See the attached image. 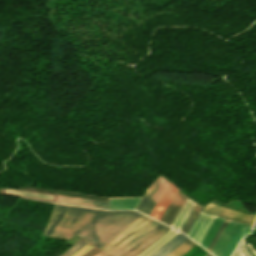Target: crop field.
Instances as JSON below:
<instances>
[{
    "instance_id": "crop-field-18",
    "label": "crop field",
    "mask_w": 256,
    "mask_h": 256,
    "mask_svg": "<svg viewBox=\"0 0 256 256\" xmlns=\"http://www.w3.org/2000/svg\"><path fill=\"white\" fill-rule=\"evenodd\" d=\"M158 222L152 221L146 227H144L141 231H139L135 236H133L130 240H128L124 245H122L119 249H117L110 256H118L121 252H123L126 248H128L131 244H133L136 240H138L141 236H143L146 232H148L151 228H153Z\"/></svg>"
},
{
    "instance_id": "crop-field-9",
    "label": "crop field",
    "mask_w": 256,
    "mask_h": 256,
    "mask_svg": "<svg viewBox=\"0 0 256 256\" xmlns=\"http://www.w3.org/2000/svg\"><path fill=\"white\" fill-rule=\"evenodd\" d=\"M185 196H183L178 190L174 197L172 198L171 202L169 203L168 207L166 208L165 212L161 216V222L170 226L171 222L173 221L175 215L177 214L178 210L180 209L182 203L185 200Z\"/></svg>"
},
{
    "instance_id": "crop-field-5",
    "label": "crop field",
    "mask_w": 256,
    "mask_h": 256,
    "mask_svg": "<svg viewBox=\"0 0 256 256\" xmlns=\"http://www.w3.org/2000/svg\"><path fill=\"white\" fill-rule=\"evenodd\" d=\"M167 229H169V227L159 223L148 233H146L143 237H141L138 241H136L133 245H131L128 249H126L123 253H121L119 256H136L145 247L152 243L156 238L163 234Z\"/></svg>"
},
{
    "instance_id": "crop-field-7",
    "label": "crop field",
    "mask_w": 256,
    "mask_h": 256,
    "mask_svg": "<svg viewBox=\"0 0 256 256\" xmlns=\"http://www.w3.org/2000/svg\"><path fill=\"white\" fill-rule=\"evenodd\" d=\"M202 211L208 212V213H211V214H215V215H218V216H222V217H225V218H229V219H232V220H236V221H239V222H243V223H246V224H250V225L252 224L253 219L255 217L253 215L228 210V209H225L223 207H220V206H217V205H214V204H211V203H209L206 207H204Z\"/></svg>"
},
{
    "instance_id": "crop-field-1",
    "label": "crop field",
    "mask_w": 256,
    "mask_h": 256,
    "mask_svg": "<svg viewBox=\"0 0 256 256\" xmlns=\"http://www.w3.org/2000/svg\"><path fill=\"white\" fill-rule=\"evenodd\" d=\"M139 216L135 211H104L76 234L100 248Z\"/></svg>"
},
{
    "instance_id": "crop-field-23",
    "label": "crop field",
    "mask_w": 256,
    "mask_h": 256,
    "mask_svg": "<svg viewBox=\"0 0 256 256\" xmlns=\"http://www.w3.org/2000/svg\"><path fill=\"white\" fill-rule=\"evenodd\" d=\"M204 254H206V252L203 249H201L198 245H196L183 256H203Z\"/></svg>"
},
{
    "instance_id": "crop-field-28",
    "label": "crop field",
    "mask_w": 256,
    "mask_h": 256,
    "mask_svg": "<svg viewBox=\"0 0 256 256\" xmlns=\"http://www.w3.org/2000/svg\"><path fill=\"white\" fill-rule=\"evenodd\" d=\"M205 256H211V255H209V254L207 253Z\"/></svg>"
},
{
    "instance_id": "crop-field-14",
    "label": "crop field",
    "mask_w": 256,
    "mask_h": 256,
    "mask_svg": "<svg viewBox=\"0 0 256 256\" xmlns=\"http://www.w3.org/2000/svg\"><path fill=\"white\" fill-rule=\"evenodd\" d=\"M195 204L196 203H194L186 198L181 209L179 210L178 214L176 215L174 221L172 222L171 227L180 230V228L182 227L183 223L187 219L188 215L192 211Z\"/></svg>"
},
{
    "instance_id": "crop-field-4",
    "label": "crop field",
    "mask_w": 256,
    "mask_h": 256,
    "mask_svg": "<svg viewBox=\"0 0 256 256\" xmlns=\"http://www.w3.org/2000/svg\"><path fill=\"white\" fill-rule=\"evenodd\" d=\"M163 178V177H162ZM159 177L146 191L141 202L137 207V211L149 216L154 205L162 194L167 183L164 179Z\"/></svg>"
},
{
    "instance_id": "crop-field-13",
    "label": "crop field",
    "mask_w": 256,
    "mask_h": 256,
    "mask_svg": "<svg viewBox=\"0 0 256 256\" xmlns=\"http://www.w3.org/2000/svg\"><path fill=\"white\" fill-rule=\"evenodd\" d=\"M140 197L109 198V210L135 209Z\"/></svg>"
},
{
    "instance_id": "crop-field-26",
    "label": "crop field",
    "mask_w": 256,
    "mask_h": 256,
    "mask_svg": "<svg viewBox=\"0 0 256 256\" xmlns=\"http://www.w3.org/2000/svg\"><path fill=\"white\" fill-rule=\"evenodd\" d=\"M91 248H93V246L88 244L87 246H85L84 248H82L81 250H79L78 252H76L75 254H73L71 256H80L83 253H85L86 251L90 250Z\"/></svg>"
},
{
    "instance_id": "crop-field-16",
    "label": "crop field",
    "mask_w": 256,
    "mask_h": 256,
    "mask_svg": "<svg viewBox=\"0 0 256 256\" xmlns=\"http://www.w3.org/2000/svg\"><path fill=\"white\" fill-rule=\"evenodd\" d=\"M187 239H188L187 237L179 233L167 244H165L162 248H160L156 253H154L152 256H167L170 252H172L175 248H177L180 244H182Z\"/></svg>"
},
{
    "instance_id": "crop-field-25",
    "label": "crop field",
    "mask_w": 256,
    "mask_h": 256,
    "mask_svg": "<svg viewBox=\"0 0 256 256\" xmlns=\"http://www.w3.org/2000/svg\"><path fill=\"white\" fill-rule=\"evenodd\" d=\"M233 256H249L244 248L243 239L239 246L237 247L236 251L234 252Z\"/></svg>"
},
{
    "instance_id": "crop-field-2",
    "label": "crop field",
    "mask_w": 256,
    "mask_h": 256,
    "mask_svg": "<svg viewBox=\"0 0 256 256\" xmlns=\"http://www.w3.org/2000/svg\"><path fill=\"white\" fill-rule=\"evenodd\" d=\"M101 212L103 211L55 204L42 235L68 240Z\"/></svg>"
},
{
    "instance_id": "crop-field-24",
    "label": "crop field",
    "mask_w": 256,
    "mask_h": 256,
    "mask_svg": "<svg viewBox=\"0 0 256 256\" xmlns=\"http://www.w3.org/2000/svg\"><path fill=\"white\" fill-rule=\"evenodd\" d=\"M228 220L225 219V221L223 222V224L221 225L220 229L218 230V232L216 233V235L214 236V238L212 239L211 243L209 244V246L207 247L206 250H208L210 252L211 248L213 247L214 243L216 242L217 238L219 237V235L221 234L222 230L224 229L225 225L227 224Z\"/></svg>"
},
{
    "instance_id": "crop-field-8",
    "label": "crop field",
    "mask_w": 256,
    "mask_h": 256,
    "mask_svg": "<svg viewBox=\"0 0 256 256\" xmlns=\"http://www.w3.org/2000/svg\"><path fill=\"white\" fill-rule=\"evenodd\" d=\"M238 225L239 222L229 220L228 224L226 225L210 253L215 256H220Z\"/></svg>"
},
{
    "instance_id": "crop-field-19",
    "label": "crop field",
    "mask_w": 256,
    "mask_h": 256,
    "mask_svg": "<svg viewBox=\"0 0 256 256\" xmlns=\"http://www.w3.org/2000/svg\"><path fill=\"white\" fill-rule=\"evenodd\" d=\"M201 209H202V207L196 204V206L194 207L193 211L189 215L188 219L186 220V222L184 223V225H183V227L181 228L180 231H182L183 233L186 234V232L188 231V229L192 225L193 221L195 220V218L197 217V215L199 214Z\"/></svg>"
},
{
    "instance_id": "crop-field-12",
    "label": "crop field",
    "mask_w": 256,
    "mask_h": 256,
    "mask_svg": "<svg viewBox=\"0 0 256 256\" xmlns=\"http://www.w3.org/2000/svg\"><path fill=\"white\" fill-rule=\"evenodd\" d=\"M176 234H178V232L170 228L167 232H165L162 236H160L137 256H151L160 247H162L165 243L172 239Z\"/></svg>"
},
{
    "instance_id": "crop-field-15",
    "label": "crop field",
    "mask_w": 256,
    "mask_h": 256,
    "mask_svg": "<svg viewBox=\"0 0 256 256\" xmlns=\"http://www.w3.org/2000/svg\"><path fill=\"white\" fill-rule=\"evenodd\" d=\"M250 228L251 226L240 223L239 227L237 228L236 232L232 236L231 240L229 241L228 245L226 246L221 256H230L236 244L238 243L239 239L244 235L248 234Z\"/></svg>"
},
{
    "instance_id": "crop-field-6",
    "label": "crop field",
    "mask_w": 256,
    "mask_h": 256,
    "mask_svg": "<svg viewBox=\"0 0 256 256\" xmlns=\"http://www.w3.org/2000/svg\"><path fill=\"white\" fill-rule=\"evenodd\" d=\"M214 218L215 215L200 212L186 235L199 244Z\"/></svg>"
},
{
    "instance_id": "crop-field-17",
    "label": "crop field",
    "mask_w": 256,
    "mask_h": 256,
    "mask_svg": "<svg viewBox=\"0 0 256 256\" xmlns=\"http://www.w3.org/2000/svg\"><path fill=\"white\" fill-rule=\"evenodd\" d=\"M223 221L224 218L216 216L215 220L211 224L210 228L206 232L205 236L203 237L199 245L206 249V247L210 243L211 239L213 238V236L215 235Z\"/></svg>"
},
{
    "instance_id": "crop-field-20",
    "label": "crop field",
    "mask_w": 256,
    "mask_h": 256,
    "mask_svg": "<svg viewBox=\"0 0 256 256\" xmlns=\"http://www.w3.org/2000/svg\"><path fill=\"white\" fill-rule=\"evenodd\" d=\"M195 245L196 244H194L192 241L188 239L182 245H180L177 249H175L172 253H170L168 256H182Z\"/></svg>"
},
{
    "instance_id": "crop-field-29",
    "label": "crop field",
    "mask_w": 256,
    "mask_h": 256,
    "mask_svg": "<svg viewBox=\"0 0 256 256\" xmlns=\"http://www.w3.org/2000/svg\"><path fill=\"white\" fill-rule=\"evenodd\" d=\"M107 256V255H106Z\"/></svg>"
},
{
    "instance_id": "crop-field-10",
    "label": "crop field",
    "mask_w": 256,
    "mask_h": 256,
    "mask_svg": "<svg viewBox=\"0 0 256 256\" xmlns=\"http://www.w3.org/2000/svg\"><path fill=\"white\" fill-rule=\"evenodd\" d=\"M176 190L177 189H175L172 185H170L168 183V185L165 188L163 194L161 195V197L158 200L157 204L155 205L153 211L151 212L150 217L159 220L160 216L164 212L165 208L167 207L171 198L175 194Z\"/></svg>"
},
{
    "instance_id": "crop-field-3",
    "label": "crop field",
    "mask_w": 256,
    "mask_h": 256,
    "mask_svg": "<svg viewBox=\"0 0 256 256\" xmlns=\"http://www.w3.org/2000/svg\"><path fill=\"white\" fill-rule=\"evenodd\" d=\"M150 221H152V219L142 215L100 249L110 255L128 239L135 235L139 230L146 226Z\"/></svg>"
},
{
    "instance_id": "crop-field-27",
    "label": "crop field",
    "mask_w": 256,
    "mask_h": 256,
    "mask_svg": "<svg viewBox=\"0 0 256 256\" xmlns=\"http://www.w3.org/2000/svg\"><path fill=\"white\" fill-rule=\"evenodd\" d=\"M101 252V251H100ZM104 255H106V254H104V253H99V254H97L96 256H104Z\"/></svg>"
},
{
    "instance_id": "crop-field-21",
    "label": "crop field",
    "mask_w": 256,
    "mask_h": 256,
    "mask_svg": "<svg viewBox=\"0 0 256 256\" xmlns=\"http://www.w3.org/2000/svg\"><path fill=\"white\" fill-rule=\"evenodd\" d=\"M4 193L21 194V195H28V196L49 198V199H52V197H53V195H49V194H40V193H32V192H23V191H15V190H7V189H4Z\"/></svg>"
},
{
    "instance_id": "crop-field-22",
    "label": "crop field",
    "mask_w": 256,
    "mask_h": 256,
    "mask_svg": "<svg viewBox=\"0 0 256 256\" xmlns=\"http://www.w3.org/2000/svg\"><path fill=\"white\" fill-rule=\"evenodd\" d=\"M86 244H88V243H86L84 240L81 239L80 241H78L76 244H74L72 247H70L68 250H66L64 253H62L59 256H69L72 253H74L75 251H77L78 249L85 246Z\"/></svg>"
},
{
    "instance_id": "crop-field-11",
    "label": "crop field",
    "mask_w": 256,
    "mask_h": 256,
    "mask_svg": "<svg viewBox=\"0 0 256 256\" xmlns=\"http://www.w3.org/2000/svg\"><path fill=\"white\" fill-rule=\"evenodd\" d=\"M56 202L107 209V202H104V201L82 199V198H75V197H68V196H61V195H58Z\"/></svg>"
}]
</instances>
